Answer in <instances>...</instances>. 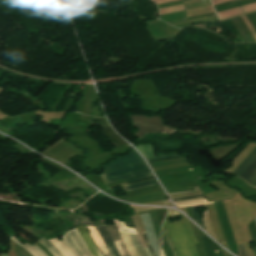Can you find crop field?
Returning a JSON list of instances; mask_svg holds the SVG:
<instances>
[{"mask_svg": "<svg viewBox=\"0 0 256 256\" xmlns=\"http://www.w3.org/2000/svg\"><path fill=\"white\" fill-rule=\"evenodd\" d=\"M65 245L70 249V251L74 254V256H82L78 248L72 242L67 233L61 238Z\"/></svg>", "mask_w": 256, "mask_h": 256, "instance_id": "13", "label": "crop field"}, {"mask_svg": "<svg viewBox=\"0 0 256 256\" xmlns=\"http://www.w3.org/2000/svg\"><path fill=\"white\" fill-rule=\"evenodd\" d=\"M145 249H146V252H147L148 256H151V254H150L148 248L146 247Z\"/></svg>", "mask_w": 256, "mask_h": 256, "instance_id": "32", "label": "crop field"}, {"mask_svg": "<svg viewBox=\"0 0 256 256\" xmlns=\"http://www.w3.org/2000/svg\"><path fill=\"white\" fill-rule=\"evenodd\" d=\"M142 235H143V237H144V239H145V241H146V243H147V245H148V248H149V250H150L152 256H156L155 253H154V251L152 250V248H151V246H150L148 240H147L146 233H143Z\"/></svg>", "mask_w": 256, "mask_h": 256, "instance_id": "28", "label": "crop field"}, {"mask_svg": "<svg viewBox=\"0 0 256 256\" xmlns=\"http://www.w3.org/2000/svg\"><path fill=\"white\" fill-rule=\"evenodd\" d=\"M18 253L16 256H32L27 250L23 249L19 245L16 244V250Z\"/></svg>", "mask_w": 256, "mask_h": 256, "instance_id": "22", "label": "crop field"}, {"mask_svg": "<svg viewBox=\"0 0 256 256\" xmlns=\"http://www.w3.org/2000/svg\"><path fill=\"white\" fill-rule=\"evenodd\" d=\"M91 121L93 125H101L105 131V132H102V134L115 145L120 146V145L126 144L125 141H123L119 136L115 134V132L109 126L105 118H94V119H91Z\"/></svg>", "mask_w": 256, "mask_h": 256, "instance_id": "4", "label": "crop field"}, {"mask_svg": "<svg viewBox=\"0 0 256 256\" xmlns=\"http://www.w3.org/2000/svg\"><path fill=\"white\" fill-rule=\"evenodd\" d=\"M201 204H207L206 199L192 200V201L176 203V205L178 207H185V206H192V205H201Z\"/></svg>", "mask_w": 256, "mask_h": 256, "instance_id": "19", "label": "crop field"}, {"mask_svg": "<svg viewBox=\"0 0 256 256\" xmlns=\"http://www.w3.org/2000/svg\"><path fill=\"white\" fill-rule=\"evenodd\" d=\"M256 171V160L239 176L247 180Z\"/></svg>", "mask_w": 256, "mask_h": 256, "instance_id": "17", "label": "crop field"}, {"mask_svg": "<svg viewBox=\"0 0 256 256\" xmlns=\"http://www.w3.org/2000/svg\"><path fill=\"white\" fill-rule=\"evenodd\" d=\"M111 235H112V238H113V241L117 247V249L119 250V252L121 253L122 256H130L129 253L127 252L126 248L124 247L120 237H119V234H118V231L116 229V226L115 225H111V226H107Z\"/></svg>", "mask_w": 256, "mask_h": 256, "instance_id": "10", "label": "crop field"}, {"mask_svg": "<svg viewBox=\"0 0 256 256\" xmlns=\"http://www.w3.org/2000/svg\"><path fill=\"white\" fill-rule=\"evenodd\" d=\"M54 256H63L59 250L44 237L39 240Z\"/></svg>", "mask_w": 256, "mask_h": 256, "instance_id": "15", "label": "crop field"}, {"mask_svg": "<svg viewBox=\"0 0 256 256\" xmlns=\"http://www.w3.org/2000/svg\"><path fill=\"white\" fill-rule=\"evenodd\" d=\"M256 159V148L251 154L242 162V164L232 173L238 176L244 169H246Z\"/></svg>", "mask_w": 256, "mask_h": 256, "instance_id": "12", "label": "crop field"}, {"mask_svg": "<svg viewBox=\"0 0 256 256\" xmlns=\"http://www.w3.org/2000/svg\"><path fill=\"white\" fill-rule=\"evenodd\" d=\"M247 183L256 187V173L247 181Z\"/></svg>", "mask_w": 256, "mask_h": 256, "instance_id": "26", "label": "crop field"}, {"mask_svg": "<svg viewBox=\"0 0 256 256\" xmlns=\"http://www.w3.org/2000/svg\"><path fill=\"white\" fill-rule=\"evenodd\" d=\"M87 228L89 229L93 240L95 241L96 245L101 250V252L104 254V256H111L108 249L106 248L101 236L99 235L96 227L87 226Z\"/></svg>", "mask_w": 256, "mask_h": 256, "instance_id": "11", "label": "crop field"}, {"mask_svg": "<svg viewBox=\"0 0 256 256\" xmlns=\"http://www.w3.org/2000/svg\"><path fill=\"white\" fill-rule=\"evenodd\" d=\"M34 247H36L43 256H48L39 246L35 245Z\"/></svg>", "mask_w": 256, "mask_h": 256, "instance_id": "30", "label": "crop field"}, {"mask_svg": "<svg viewBox=\"0 0 256 256\" xmlns=\"http://www.w3.org/2000/svg\"><path fill=\"white\" fill-rule=\"evenodd\" d=\"M10 239H12L13 241H15L16 243H18L20 246L24 247L25 249H27L30 253H32L34 256H42L37 249H35L32 245L28 246L27 244H23L21 243L19 240H17L14 236L11 237ZM32 255V256H33Z\"/></svg>", "mask_w": 256, "mask_h": 256, "instance_id": "18", "label": "crop field"}, {"mask_svg": "<svg viewBox=\"0 0 256 256\" xmlns=\"http://www.w3.org/2000/svg\"><path fill=\"white\" fill-rule=\"evenodd\" d=\"M197 206H193V207H190L191 208V212H192V215H193V219L196 223H198L202 228L205 229L204 225H203V221L201 219V216L200 214H198L197 212V209H196Z\"/></svg>", "mask_w": 256, "mask_h": 256, "instance_id": "20", "label": "crop field"}, {"mask_svg": "<svg viewBox=\"0 0 256 256\" xmlns=\"http://www.w3.org/2000/svg\"><path fill=\"white\" fill-rule=\"evenodd\" d=\"M67 233L71 237V239L74 241V243L77 245V247L79 248L83 256H93L87 249L83 239L81 238L76 228L71 231H68Z\"/></svg>", "mask_w": 256, "mask_h": 256, "instance_id": "9", "label": "crop field"}, {"mask_svg": "<svg viewBox=\"0 0 256 256\" xmlns=\"http://www.w3.org/2000/svg\"><path fill=\"white\" fill-rule=\"evenodd\" d=\"M64 256H73L72 253L68 250V248L64 245V243L59 239L50 240Z\"/></svg>", "mask_w": 256, "mask_h": 256, "instance_id": "14", "label": "crop field"}, {"mask_svg": "<svg viewBox=\"0 0 256 256\" xmlns=\"http://www.w3.org/2000/svg\"><path fill=\"white\" fill-rule=\"evenodd\" d=\"M171 156H177V155H176V154H171V155H165V156H162V157L148 158V159H146V160L149 161V160H153V159L164 158V157H171Z\"/></svg>", "mask_w": 256, "mask_h": 256, "instance_id": "29", "label": "crop field"}, {"mask_svg": "<svg viewBox=\"0 0 256 256\" xmlns=\"http://www.w3.org/2000/svg\"><path fill=\"white\" fill-rule=\"evenodd\" d=\"M174 158H180V157H172V158L158 159V160L150 161V162H148V163L158 162V161L167 160V159H174Z\"/></svg>", "mask_w": 256, "mask_h": 256, "instance_id": "31", "label": "crop field"}, {"mask_svg": "<svg viewBox=\"0 0 256 256\" xmlns=\"http://www.w3.org/2000/svg\"><path fill=\"white\" fill-rule=\"evenodd\" d=\"M156 185H159L157 180H153V181H147V182H143V183H140L137 185L125 187L124 190L129 191V190H135V189L145 188V187H149V186H156Z\"/></svg>", "mask_w": 256, "mask_h": 256, "instance_id": "16", "label": "crop field"}, {"mask_svg": "<svg viewBox=\"0 0 256 256\" xmlns=\"http://www.w3.org/2000/svg\"><path fill=\"white\" fill-rule=\"evenodd\" d=\"M161 256H164L163 252H162V255Z\"/></svg>", "mask_w": 256, "mask_h": 256, "instance_id": "34", "label": "crop field"}, {"mask_svg": "<svg viewBox=\"0 0 256 256\" xmlns=\"http://www.w3.org/2000/svg\"><path fill=\"white\" fill-rule=\"evenodd\" d=\"M81 236L83 237L88 249L91 251V253L94 256H102L101 252L99 251V249L97 248V246L94 244L92 238L90 237V235L88 234L86 228L84 227V225L77 227Z\"/></svg>", "mask_w": 256, "mask_h": 256, "instance_id": "8", "label": "crop field"}, {"mask_svg": "<svg viewBox=\"0 0 256 256\" xmlns=\"http://www.w3.org/2000/svg\"><path fill=\"white\" fill-rule=\"evenodd\" d=\"M143 160L139 157L136 152H132L131 154L127 155L126 157H120L116 159L114 162H111L109 165L105 166V171L113 170L116 168L128 166L131 164H135L138 162H142Z\"/></svg>", "mask_w": 256, "mask_h": 256, "instance_id": "5", "label": "crop field"}, {"mask_svg": "<svg viewBox=\"0 0 256 256\" xmlns=\"http://www.w3.org/2000/svg\"><path fill=\"white\" fill-rule=\"evenodd\" d=\"M147 168H148V166L145 164V162H143V163L131 165V166H128V167L116 169V170L106 172V173H103V174L106 176L107 180H109V179H112V178H115V177H118V176H122V175H125V174H128V173L140 171V170L147 169Z\"/></svg>", "mask_w": 256, "mask_h": 256, "instance_id": "6", "label": "crop field"}, {"mask_svg": "<svg viewBox=\"0 0 256 256\" xmlns=\"http://www.w3.org/2000/svg\"><path fill=\"white\" fill-rule=\"evenodd\" d=\"M141 147H142L143 155L145 158L155 156V151H154V148L152 145L151 146H141Z\"/></svg>", "mask_w": 256, "mask_h": 256, "instance_id": "21", "label": "crop field"}, {"mask_svg": "<svg viewBox=\"0 0 256 256\" xmlns=\"http://www.w3.org/2000/svg\"><path fill=\"white\" fill-rule=\"evenodd\" d=\"M203 197H205L204 194L197 195V196H190V197H186V198H177V199H173V200H174V202H177V201H181V200L197 199V198H203Z\"/></svg>", "mask_w": 256, "mask_h": 256, "instance_id": "24", "label": "crop field"}, {"mask_svg": "<svg viewBox=\"0 0 256 256\" xmlns=\"http://www.w3.org/2000/svg\"><path fill=\"white\" fill-rule=\"evenodd\" d=\"M130 118L134 127L139 130L134 132L137 138H142L147 132L170 134L177 131V129L162 126L159 117L130 116Z\"/></svg>", "mask_w": 256, "mask_h": 256, "instance_id": "2", "label": "crop field"}, {"mask_svg": "<svg viewBox=\"0 0 256 256\" xmlns=\"http://www.w3.org/2000/svg\"><path fill=\"white\" fill-rule=\"evenodd\" d=\"M148 172H151L150 169L140 171V172H136V173H133V174H129V175H126V176H122V177H119V178H115V179L109 180V182L112 183V182L117 181V180L122 179V178H126V177L137 175V174H142V173H148Z\"/></svg>", "mask_w": 256, "mask_h": 256, "instance_id": "23", "label": "crop field"}, {"mask_svg": "<svg viewBox=\"0 0 256 256\" xmlns=\"http://www.w3.org/2000/svg\"><path fill=\"white\" fill-rule=\"evenodd\" d=\"M0 256H8L6 253H4V254H2V255H0Z\"/></svg>", "mask_w": 256, "mask_h": 256, "instance_id": "33", "label": "crop field"}, {"mask_svg": "<svg viewBox=\"0 0 256 256\" xmlns=\"http://www.w3.org/2000/svg\"><path fill=\"white\" fill-rule=\"evenodd\" d=\"M172 212L173 214H170V210L168 209V214L163 224L162 232L174 256H198L184 222V220H186L194 243L197 244L198 242L193 233L189 220L177 211L172 210ZM179 216L182 219L177 222L175 218ZM172 218L175 223H170L169 220Z\"/></svg>", "mask_w": 256, "mask_h": 256, "instance_id": "1", "label": "crop field"}, {"mask_svg": "<svg viewBox=\"0 0 256 256\" xmlns=\"http://www.w3.org/2000/svg\"><path fill=\"white\" fill-rule=\"evenodd\" d=\"M148 176H152V173L134 176V177H131V178H128V179H124V181L127 182V181H131V180H135V179H139V178H144V177H148Z\"/></svg>", "mask_w": 256, "mask_h": 256, "instance_id": "25", "label": "crop field"}, {"mask_svg": "<svg viewBox=\"0 0 256 256\" xmlns=\"http://www.w3.org/2000/svg\"><path fill=\"white\" fill-rule=\"evenodd\" d=\"M97 229L99 230L103 240L105 241L106 245L112 243V238L107 230L106 224L104 225H98L96 226ZM110 253L112 254V256H121L120 253L118 252V250L116 249V247L114 246V244H110L107 245Z\"/></svg>", "mask_w": 256, "mask_h": 256, "instance_id": "7", "label": "crop field"}, {"mask_svg": "<svg viewBox=\"0 0 256 256\" xmlns=\"http://www.w3.org/2000/svg\"><path fill=\"white\" fill-rule=\"evenodd\" d=\"M131 256H147L137 234L119 232Z\"/></svg>", "mask_w": 256, "mask_h": 256, "instance_id": "3", "label": "crop field"}, {"mask_svg": "<svg viewBox=\"0 0 256 256\" xmlns=\"http://www.w3.org/2000/svg\"><path fill=\"white\" fill-rule=\"evenodd\" d=\"M155 179L154 177H150V178H144V179H140V180H136V181H132V182H128L127 185H130V184H136V183H140L142 181H147V180H153Z\"/></svg>", "mask_w": 256, "mask_h": 256, "instance_id": "27", "label": "crop field"}]
</instances>
